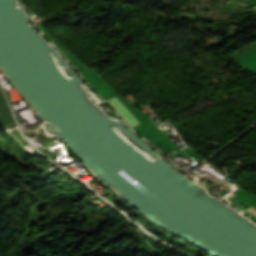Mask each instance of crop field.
Segmentation results:
<instances>
[{"label":"crop field","mask_w":256,"mask_h":256,"mask_svg":"<svg viewBox=\"0 0 256 256\" xmlns=\"http://www.w3.org/2000/svg\"><path fill=\"white\" fill-rule=\"evenodd\" d=\"M13 117L10 113V110L7 106V103L0 91V123L2 125L13 123Z\"/></svg>","instance_id":"8a807250"},{"label":"crop field","mask_w":256,"mask_h":256,"mask_svg":"<svg viewBox=\"0 0 256 256\" xmlns=\"http://www.w3.org/2000/svg\"><path fill=\"white\" fill-rule=\"evenodd\" d=\"M112 106L120 113V115L128 122V124L132 127L138 124L134 118L126 111V109L118 102V100L114 97L108 100Z\"/></svg>","instance_id":"ac0d7876"}]
</instances>
